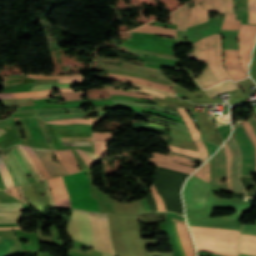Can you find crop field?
<instances>
[{
    "mask_svg": "<svg viewBox=\"0 0 256 256\" xmlns=\"http://www.w3.org/2000/svg\"><path fill=\"white\" fill-rule=\"evenodd\" d=\"M68 234L76 240L115 256L106 213L75 209L68 226Z\"/></svg>",
    "mask_w": 256,
    "mask_h": 256,
    "instance_id": "obj_1",
    "label": "crop field"
},
{
    "mask_svg": "<svg viewBox=\"0 0 256 256\" xmlns=\"http://www.w3.org/2000/svg\"><path fill=\"white\" fill-rule=\"evenodd\" d=\"M193 46L195 50L194 57L208 63L202 74L196 77L203 89L220 81L232 79L223 68L219 33L204 37L195 42Z\"/></svg>",
    "mask_w": 256,
    "mask_h": 256,
    "instance_id": "obj_2",
    "label": "crop field"
},
{
    "mask_svg": "<svg viewBox=\"0 0 256 256\" xmlns=\"http://www.w3.org/2000/svg\"><path fill=\"white\" fill-rule=\"evenodd\" d=\"M85 171L63 177L73 208L99 211L98 202L92 198Z\"/></svg>",
    "mask_w": 256,
    "mask_h": 256,
    "instance_id": "obj_3",
    "label": "crop field"
},
{
    "mask_svg": "<svg viewBox=\"0 0 256 256\" xmlns=\"http://www.w3.org/2000/svg\"><path fill=\"white\" fill-rule=\"evenodd\" d=\"M232 155L226 143L210 159L211 181L210 184L223 190L233 191L230 185V164ZM228 179V183L220 185V179Z\"/></svg>",
    "mask_w": 256,
    "mask_h": 256,
    "instance_id": "obj_4",
    "label": "crop field"
},
{
    "mask_svg": "<svg viewBox=\"0 0 256 256\" xmlns=\"http://www.w3.org/2000/svg\"><path fill=\"white\" fill-rule=\"evenodd\" d=\"M241 152L240 174L250 176V172H256V150L243 125L236 126L233 135Z\"/></svg>",
    "mask_w": 256,
    "mask_h": 256,
    "instance_id": "obj_5",
    "label": "crop field"
},
{
    "mask_svg": "<svg viewBox=\"0 0 256 256\" xmlns=\"http://www.w3.org/2000/svg\"><path fill=\"white\" fill-rule=\"evenodd\" d=\"M210 187L207 182L195 176L190 177L183 189L186 210L204 209Z\"/></svg>",
    "mask_w": 256,
    "mask_h": 256,
    "instance_id": "obj_6",
    "label": "crop field"
},
{
    "mask_svg": "<svg viewBox=\"0 0 256 256\" xmlns=\"http://www.w3.org/2000/svg\"><path fill=\"white\" fill-rule=\"evenodd\" d=\"M198 2L203 5L199 6ZM196 7L190 8L189 26L208 20L207 11H219L222 13H233L232 0H195Z\"/></svg>",
    "mask_w": 256,
    "mask_h": 256,
    "instance_id": "obj_7",
    "label": "crop field"
},
{
    "mask_svg": "<svg viewBox=\"0 0 256 256\" xmlns=\"http://www.w3.org/2000/svg\"><path fill=\"white\" fill-rule=\"evenodd\" d=\"M256 38V26L240 24L238 40L242 68L247 72V65Z\"/></svg>",
    "mask_w": 256,
    "mask_h": 256,
    "instance_id": "obj_8",
    "label": "crop field"
},
{
    "mask_svg": "<svg viewBox=\"0 0 256 256\" xmlns=\"http://www.w3.org/2000/svg\"><path fill=\"white\" fill-rule=\"evenodd\" d=\"M47 181L52 191V195L55 200L56 207L58 206L72 207L70 203L69 195L66 191L62 178L55 177V178L48 179Z\"/></svg>",
    "mask_w": 256,
    "mask_h": 256,
    "instance_id": "obj_9",
    "label": "crop field"
},
{
    "mask_svg": "<svg viewBox=\"0 0 256 256\" xmlns=\"http://www.w3.org/2000/svg\"><path fill=\"white\" fill-rule=\"evenodd\" d=\"M33 150L39 156V158L41 159L47 170L50 172L52 177L68 174V172L63 166L57 164L56 161L53 162L51 160L52 155L54 153L53 150L44 148H33Z\"/></svg>",
    "mask_w": 256,
    "mask_h": 256,
    "instance_id": "obj_10",
    "label": "crop field"
},
{
    "mask_svg": "<svg viewBox=\"0 0 256 256\" xmlns=\"http://www.w3.org/2000/svg\"><path fill=\"white\" fill-rule=\"evenodd\" d=\"M233 154V162L231 168V183L232 187L234 188V192H244L241 183L239 182V161H240V154L237 148L236 143L234 142L233 138L231 137L226 142Z\"/></svg>",
    "mask_w": 256,
    "mask_h": 256,
    "instance_id": "obj_11",
    "label": "crop field"
},
{
    "mask_svg": "<svg viewBox=\"0 0 256 256\" xmlns=\"http://www.w3.org/2000/svg\"><path fill=\"white\" fill-rule=\"evenodd\" d=\"M0 156L8 167L10 175L12 177L15 186L28 185L26 178L24 177L18 163L9 152L7 155L2 149H0ZM30 184V183H29Z\"/></svg>",
    "mask_w": 256,
    "mask_h": 256,
    "instance_id": "obj_12",
    "label": "crop field"
},
{
    "mask_svg": "<svg viewBox=\"0 0 256 256\" xmlns=\"http://www.w3.org/2000/svg\"><path fill=\"white\" fill-rule=\"evenodd\" d=\"M103 66H104V68H113V69L134 71V72L150 75L152 77H158V78L166 79L165 77H163L160 74L159 70L153 69V68H149V67H141V66H138V65L127 64V63H123L122 66L108 65V64H103Z\"/></svg>",
    "mask_w": 256,
    "mask_h": 256,
    "instance_id": "obj_13",
    "label": "crop field"
},
{
    "mask_svg": "<svg viewBox=\"0 0 256 256\" xmlns=\"http://www.w3.org/2000/svg\"><path fill=\"white\" fill-rule=\"evenodd\" d=\"M58 160L67 169L69 174L80 171L77 167L74 155L71 150L55 151Z\"/></svg>",
    "mask_w": 256,
    "mask_h": 256,
    "instance_id": "obj_14",
    "label": "crop field"
},
{
    "mask_svg": "<svg viewBox=\"0 0 256 256\" xmlns=\"http://www.w3.org/2000/svg\"><path fill=\"white\" fill-rule=\"evenodd\" d=\"M195 143L198 147L199 152L181 149V148L171 146V145H168V144L167 145H168L169 149L174 151V152L195 156L197 158H202L201 163H203L205 160H207L209 158L208 152H207V150H206V148H205V146H204V144L201 140L196 141Z\"/></svg>",
    "mask_w": 256,
    "mask_h": 256,
    "instance_id": "obj_15",
    "label": "crop field"
},
{
    "mask_svg": "<svg viewBox=\"0 0 256 256\" xmlns=\"http://www.w3.org/2000/svg\"><path fill=\"white\" fill-rule=\"evenodd\" d=\"M188 21V5L182 6L170 15V23L178 24L179 30H186Z\"/></svg>",
    "mask_w": 256,
    "mask_h": 256,
    "instance_id": "obj_16",
    "label": "crop field"
},
{
    "mask_svg": "<svg viewBox=\"0 0 256 256\" xmlns=\"http://www.w3.org/2000/svg\"><path fill=\"white\" fill-rule=\"evenodd\" d=\"M134 32L155 33L158 35L172 36V37L176 38V30H174V29L151 26V25H147V24L134 30Z\"/></svg>",
    "mask_w": 256,
    "mask_h": 256,
    "instance_id": "obj_17",
    "label": "crop field"
},
{
    "mask_svg": "<svg viewBox=\"0 0 256 256\" xmlns=\"http://www.w3.org/2000/svg\"><path fill=\"white\" fill-rule=\"evenodd\" d=\"M179 235L183 244L186 256H194L191 240L189 237L187 226L177 222Z\"/></svg>",
    "mask_w": 256,
    "mask_h": 256,
    "instance_id": "obj_18",
    "label": "crop field"
},
{
    "mask_svg": "<svg viewBox=\"0 0 256 256\" xmlns=\"http://www.w3.org/2000/svg\"><path fill=\"white\" fill-rule=\"evenodd\" d=\"M52 89L45 91L26 92V93H0V98H25L41 95H49ZM60 92H73L71 89H58Z\"/></svg>",
    "mask_w": 256,
    "mask_h": 256,
    "instance_id": "obj_19",
    "label": "crop field"
},
{
    "mask_svg": "<svg viewBox=\"0 0 256 256\" xmlns=\"http://www.w3.org/2000/svg\"><path fill=\"white\" fill-rule=\"evenodd\" d=\"M238 89L237 85L235 82L233 81H225L217 86L211 87L207 90H205V92L210 96V97H214L222 92L225 91H232Z\"/></svg>",
    "mask_w": 256,
    "mask_h": 256,
    "instance_id": "obj_20",
    "label": "crop field"
},
{
    "mask_svg": "<svg viewBox=\"0 0 256 256\" xmlns=\"http://www.w3.org/2000/svg\"><path fill=\"white\" fill-rule=\"evenodd\" d=\"M177 110L179 111V113L182 115L191 135L193 138V141L200 139V134L198 132V129L196 127V125L194 124V122L192 121V119L190 118V116L187 114V112L185 111V109L183 107H179L177 108Z\"/></svg>",
    "mask_w": 256,
    "mask_h": 256,
    "instance_id": "obj_21",
    "label": "crop field"
},
{
    "mask_svg": "<svg viewBox=\"0 0 256 256\" xmlns=\"http://www.w3.org/2000/svg\"><path fill=\"white\" fill-rule=\"evenodd\" d=\"M23 148L26 150V152L29 154V156L31 157V159L34 161L37 169L40 171V173L44 176L45 179L50 178L49 173L47 172V170L45 169L44 165L42 164V162L40 161V159L38 158V156L35 154V152L32 150L31 147H26L23 146Z\"/></svg>",
    "mask_w": 256,
    "mask_h": 256,
    "instance_id": "obj_22",
    "label": "crop field"
},
{
    "mask_svg": "<svg viewBox=\"0 0 256 256\" xmlns=\"http://www.w3.org/2000/svg\"><path fill=\"white\" fill-rule=\"evenodd\" d=\"M104 117L106 116H97L96 118H89V120H86L84 118H74V119L55 120V121H49V122L59 123V124H66V123L98 124L99 121Z\"/></svg>",
    "mask_w": 256,
    "mask_h": 256,
    "instance_id": "obj_23",
    "label": "crop field"
},
{
    "mask_svg": "<svg viewBox=\"0 0 256 256\" xmlns=\"http://www.w3.org/2000/svg\"><path fill=\"white\" fill-rule=\"evenodd\" d=\"M91 113V112H90ZM99 115H107L104 111H96ZM89 113H70V114H55V115H48L49 117L44 118V116H39L45 121L59 119V118H73V117H85L88 116ZM47 116V115H45Z\"/></svg>",
    "mask_w": 256,
    "mask_h": 256,
    "instance_id": "obj_24",
    "label": "crop field"
},
{
    "mask_svg": "<svg viewBox=\"0 0 256 256\" xmlns=\"http://www.w3.org/2000/svg\"><path fill=\"white\" fill-rule=\"evenodd\" d=\"M20 217V213L0 212V223H18Z\"/></svg>",
    "mask_w": 256,
    "mask_h": 256,
    "instance_id": "obj_25",
    "label": "crop field"
},
{
    "mask_svg": "<svg viewBox=\"0 0 256 256\" xmlns=\"http://www.w3.org/2000/svg\"><path fill=\"white\" fill-rule=\"evenodd\" d=\"M134 85V84H132ZM138 86L139 88H142V89H145V90H148V91H144V90H140V89H137V90H131V91H135V92H143V93H147V94H151V95H155V96H158L160 98H163L165 99V95H162V94H167V95H171V96H175V94H172V93H168V92H165V91H162V90H158V89H153V88H148V87H144V86H141V85H136ZM128 91V90H127ZM162 93V94H158V93Z\"/></svg>",
    "mask_w": 256,
    "mask_h": 256,
    "instance_id": "obj_26",
    "label": "crop field"
},
{
    "mask_svg": "<svg viewBox=\"0 0 256 256\" xmlns=\"http://www.w3.org/2000/svg\"><path fill=\"white\" fill-rule=\"evenodd\" d=\"M0 211H16L22 212V202L18 203H0Z\"/></svg>",
    "mask_w": 256,
    "mask_h": 256,
    "instance_id": "obj_27",
    "label": "crop field"
},
{
    "mask_svg": "<svg viewBox=\"0 0 256 256\" xmlns=\"http://www.w3.org/2000/svg\"><path fill=\"white\" fill-rule=\"evenodd\" d=\"M252 115L254 118L249 120V122L256 133V117H255L254 113H252ZM249 122L248 121L243 122V125L245 126L246 130L248 131L250 137L253 139L255 146H256V134L254 133L253 129L251 128Z\"/></svg>",
    "mask_w": 256,
    "mask_h": 256,
    "instance_id": "obj_28",
    "label": "crop field"
},
{
    "mask_svg": "<svg viewBox=\"0 0 256 256\" xmlns=\"http://www.w3.org/2000/svg\"><path fill=\"white\" fill-rule=\"evenodd\" d=\"M59 94H61L63 98L66 100H75V99H81L80 96L87 95L88 93H83V91L76 92V93H58L50 96L34 97L33 99L47 98V97H51Z\"/></svg>",
    "mask_w": 256,
    "mask_h": 256,
    "instance_id": "obj_29",
    "label": "crop field"
},
{
    "mask_svg": "<svg viewBox=\"0 0 256 256\" xmlns=\"http://www.w3.org/2000/svg\"><path fill=\"white\" fill-rule=\"evenodd\" d=\"M10 150V152L12 153V155L15 157V159L17 160V162L19 163L22 171L24 172L25 175L27 174H31L30 170L28 169V167L26 166V164L24 163V161L22 160V158L20 157L19 153L17 152V150L12 146L10 148H8Z\"/></svg>",
    "mask_w": 256,
    "mask_h": 256,
    "instance_id": "obj_30",
    "label": "crop field"
},
{
    "mask_svg": "<svg viewBox=\"0 0 256 256\" xmlns=\"http://www.w3.org/2000/svg\"><path fill=\"white\" fill-rule=\"evenodd\" d=\"M106 142H111V141L94 142L95 154L102 158L105 157L107 154Z\"/></svg>",
    "mask_w": 256,
    "mask_h": 256,
    "instance_id": "obj_31",
    "label": "crop field"
},
{
    "mask_svg": "<svg viewBox=\"0 0 256 256\" xmlns=\"http://www.w3.org/2000/svg\"><path fill=\"white\" fill-rule=\"evenodd\" d=\"M194 175L200 177L201 179L209 182L210 176H209V161L202 166Z\"/></svg>",
    "mask_w": 256,
    "mask_h": 256,
    "instance_id": "obj_32",
    "label": "crop field"
},
{
    "mask_svg": "<svg viewBox=\"0 0 256 256\" xmlns=\"http://www.w3.org/2000/svg\"><path fill=\"white\" fill-rule=\"evenodd\" d=\"M81 111L79 109H68V110H62V109H41L37 110L35 115H44V114H54V113H61V112H78Z\"/></svg>",
    "mask_w": 256,
    "mask_h": 256,
    "instance_id": "obj_33",
    "label": "crop field"
},
{
    "mask_svg": "<svg viewBox=\"0 0 256 256\" xmlns=\"http://www.w3.org/2000/svg\"><path fill=\"white\" fill-rule=\"evenodd\" d=\"M248 23L256 24V0H249V21Z\"/></svg>",
    "mask_w": 256,
    "mask_h": 256,
    "instance_id": "obj_34",
    "label": "crop field"
},
{
    "mask_svg": "<svg viewBox=\"0 0 256 256\" xmlns=\"http://www.w3.org/2000/svg\"><path fill=\"white\" fill-rule=\"evenodd\" d=\"M170 216L175 217V218H178V219H182V220H185V218H184L183 216H181V215L172 214V213H168V212H167V220H168L169 227H170V234H171V237H172L173 242H174V246H175V249H176V252H177V256H181V255H180V251H179V249H178V247H177L176 241H175L174 236H173V231H172V225H171Z\"/></svg>",
    "mask_w": 256,
    "mask_h": 256,
    "instance_id": "obj_35",
    "label": "crop field"
},
{
    "mask_svg": "<svg viewBox=\"0 0 256 256\" xmlns=\"http://www.w3.org/2000/svg\"><path fill=\"white\" fill-rule=\"evenodd\" d=\"M114 132L93 133L92 141L113 140Z\"/></svg>",
    "mask_w": 256,
    "mask_h": 256,
    "instance_id": "obj_36",
    "label": "crop field"
},
{
    "mask_svg": "<svg viewBox=\"0 0 256 256\" xmlns=\"http://www.w3.org/2000/svg\"><path fill=\"white\" fill-rule=\"evenodd\" d=\"M72 84H52V85H37L32 88V91L48 88H71Z\"/></svg>",
    "mask_w": 256,
    "mask_h": 256,
    "instance_id": "obj_37",
    "label": "crop field"
},
{
    "mask_svg": "<svg viewBox=\"0 0 256 256\" xmlns=\"http://www.w3.org/2000/svg\"><path fill=\"white\" fill-rule=\"evenodd\" d=\"M14 244V242H12L9 239H3L0 242V256H3V254Z\"/></svg>",
    "mask_w": 256,
    "mask_h": 256,
    "instance_id": "obj_38",
    "label": "crop field"
},
{
    "mask_svg": "<svg viewBox=\"0 0 256 256\" xmlns=\"http://www.w3.org/2000/svg\"><path fill=\"white\" fill-rule=\"evenodd\" d=\"M151 191H152V194L154 195V197L156 199L159 211H166L165 207H164V204H163V201L160 198L158 192L156 191V189L153 185H152Z\"/></svg>",
    "mask_w": 256,
    "mask_h": 256,
    "instance_id": "obj_39",
    "label": "crop field"
},
{
    "mask_svg": "<svg viewBox=\"0 0 256 256\" xmlns=\"http://www.w3.org/2000/svg\"><path fill=\"white\" fill-rule=\"evenodd\" d=\"M110 95H117V94H126V95H132L136 97H141V98H150L153 99V96H148V95H142V94H137V93H130V92H122V91H111L107 90Z\"/></svg>",
    "mask_w": 256,
    "mask_h": 256,
    "instance_id": "obj_40",
    "label": "crop field"
},
{
    "mask_svg": "<svg viewBox=\"0 0 256 256\" xmlns=\"http://www.w3.org/2000/svg\"><path fill=\"white\" fill-rule=\"evenodd\" d=\"M241 233L256 234V224H253V225L242 224Z\"/></svg>",
    "mask_w": 256,
    "mask_h": 256,
    "instance_id": "obj_41",
    "label": "crop field"
},
{
    "mask_svg": "<svg viewBox=\"0 0 256 256\" xmlns=\"http://www.w3.org/2000/svg\"><path fill=\"white\" fill-rule=\"evenodd\" d=\"M172 225H173V229H174V233H175V236H176L178 247H179V249L181 251L182 256H185L183 248H182L181 241L179 239V235H178V231H177V225L175 223V219L174 218H172Z\"/></svg>",
    "mask_w": 256,
    "mask_h": 256,
    "instance_id": "obj_42",
    "label": "crop field"
},
{
    "mask_svg": "<svg viewBox=\"0 0 256 256\" xmlns=\"http://www.w3.org/2000/svg\"><path fill=\"white\" fill-rule=\"evenodd\" d=\"M148 164L159 165V166H163V167H166V168H170V169H174V170H178V171H182V172H186V173H190V174L192 173L191 171L184 170V169H181V168H178V167L165 165V164H160V163H155V162H151V161H149Z\"/></svg>",
    "mask_w": 256,
    "mask_h": 256,
    "instance_id": "obj_43",
    "label": "crop field"
},
{
    "mask_svg": "<svg viewBox=\"0 0 256 256\" xmlns=\"http://www.w3.org/2000/svg\"><path fill=\"white\" fill-rule=\"evenodd\" d=\"M17 148V150L19 151V153L21 154V156L23 157L24 161L26 162V164L28 165V167L30 168L33 176L35 177V179L37 180V182L41 181L39 179V177L35 174L34 170L32 169L31 165L29 164L28 160L26 159V157L24 156V154L21 152V150L19 149L18 145L15 146Z\"/></svg>",
    "mask_w": 256,
    "mask_h": 256,
    "instance_id": "obj_44",
    "label": "crop field"
},
{
    "mask_svg": "<svg viewBox=\"0 0 256 256\" xmlns=\"http://www.w3.org/2000/svg\"><path fill=\"white\" fill-rule=\"evenodd\" d=\"M78 154L82 157V159L86 162L88 167L96 164L93 160H91L87 155L84 154L83 151L77 150Z\"/></svg>",
    "mask_w": 256,
    "mask_h": 256,
    "instance_id": "obj_45",
    "label": "crop field"
},
{
    "mask_svg": "<svg viewBox=\"0 0 256 256\" xmlns=\"http://www.w3.org/2000/svg\"><path fill=\"white\" fill-rule=\"evenodd\" d=\"M108 100H111V97H108V98H106L104 100H102V98H99V99H91L89 101H108ZM86 101L87 100H75V101H66L64 103L65 104H73V103H82V102H86ZM60 104H62V103L60 102Z\"/></svg>",
    "mask_w": 256,
    "mask_h": 256,
    "instance_id": "obj_46",
    "label": "crop field"
},
{
    "mask_svg": "<svg viewBox=\"0 0 256 256\" xmlns=\"http://www.w3.org/2000/svg\"><path fill=\"white\" fill-rule=\"evenodd\" d=\"M203 142L205 143V145L209 151V156H211L218 148L217 146H215L209 142H205V141H203Z\"/></svg>",
    "mask_w": 256,
    "mask_h": 256,
    "instance_id": "obj_47",
    "label": "crop field"
},
{
    "mask_svg": "<svg viewBox=\"0 0 256 256\" xmlns=\"http://www.w3.org/2000/svg\"><path fill=\"white\" fill-rule=\"evenodd\" d=\"M3 191H5V192H7V193H9V194H11V195H13V196H15V197H17L18 199L21 200L18 188H12V189L3 190Z\"/></svg>",
    "mask_w": 256,
    "mask_h": 256,
    "instance_id": "obj_48",
    "label": "crop field"
},
{
    "mask_svg": "<svg viewBox=\"0 0 256 256\" xmlns=\"http://www.w3.org/2000/svg\"><path fill=\"white\" fill-rule=\"evenodd\" d=\"M44 186H45L46 193H47V195H48V197H49V199H50V203H51L53 209L56 210V207H55V205H54L53 198H52V196H51V194H50V192H49V189H48V185H47V181H46V180L44 181Z\"/></svg>",
    "mask_w": 256,
    "mask_h": 256,
    "instance_id": "obj_49",
    "label": "crop field"
},
{
    "mask_svg": "<svg viewBox=\"0 0 256 256\" xmlns=\"http://www.w3.org/2000/svg\"><path fill=\"white\" fill-rule=\"evenodd\" d=\"M148 256H172V253H153L147 252Z\"/></svg>",
    "mask_w": 256,
    "mask_h": 256,
    "instance_id": "obj_50",
    "label": "crop field"
},
{
    "mask_svg": "<svg viewBox=\"0 0 256 256\" xmlns=\"http://www.w3.org/2000/svg\"><path fill=\"white\" fill-rule=\"evenodd\" d=\"M63 145H89V142H63Z\"/></svg>",
    "mask_w": 256,
    "mask_h": 256,
    "instance_id": "obj_51",
    "label": "crop field"
},
{
    "mask_svg": "<svg viewBox=\"0 0 256 256\" xmlns=\"http://www.w3.org/2000/svg\"><path fill=\"white\" fill-rule=\"evenodd\" d=\"M90 158H92L96 163L97 162H99L100 161V157H98V156H96V155H94V154H92V153H90V152H86V151H84Z\"/></svg>",
    "mask_w": 256,
    "mask_h": 256,
    "instance_id": "obj_52",
    "label": "crop field"
},
{
    "mask_svg": "<svg viewBox=\"0 0 256 256\" xmlns=\"http://www.w3.org/2000/svg\"><path fill=\"white\" fill-rule=\"evenodd\" d=\"M18 188H19V191H20V194H21V197H22L23 202L26 203V201H25V195H24V193H23L22 188H21V187H18Z\"/></svg>",
    "mask_w": 256,
    "mask_h": 256,
    "instance_id": "obj_53",
    "label": "crop field"
},
{
    "mask_svg": "<svg viewBox=\"0 0 256 256\" xmlns=\"http://www.w3.org/2000/svg\"><path fill=\"white\" fill-rule=\"evenodd\" d=\"M0 229H20V227H0Z\"/></svg>",
    "mask_w": 256,
    "mask_h": 256,
    "instance_id": "obj_54",
    "label": "crop field"
},
{
    "mask_svg": "<svg viewBox=\"0 0 256 256\" xmlns=\"http://www.w3.org/2000/svg\"><path fill=\"white\" fill-rule=\"evenodd\" d=\"M199 254H204V255H208V256H218V255H213V254H208V253H203V252H198Z\"/></svg>",
    "mask_w": 256,
    "mask_h": 256,
    "instance_id": "obj_55",
    "label": "crop field"
},
{
    "mask_svg": "<svg viewBox=\"0 0 256 256\" xmlns=\"http://www.w3.org/2000/svg\"><path fill=\"white\" fill-rule=\"evenodd\" d=\"M24 210H30L29 207L25 204H23Z\"/></svg>",
    "mask_w": 256,
    "mask_h": 256,
    "instance_id": "obj_56",
    "label": "crop field"
},
{
    "mask_svg": "<svg viewBox=\"0 0 256 256\" xmlns=\"http://www.w3.org/2000/svg\"><path fill=\"white\" fill-rule=\"evenodd\" d=\"M238 256H251V255H246V254L239 253Z\"/></svg>",
    "mask_w": 256,
    "mask_h": 256,
    "instance_id": "obj_57",
    "label": "crop field"
},
{
    "mask_svg": "<svg viewBox=\"0 0 256 256\" xmlns=\"http://www.w3.org/2000/svg\"><path fill=\"white\" fill-rule=\"evenodd\" d=\"M4 132L5 131L2 128H0V135L3 134Z\"/></svg>",
    "mask_w": 256,
    "mask_h": 256,
    "instance_id": "obj_58",
    "label": "crop field"
},
{
    "mask_svg": "<svg viewBox=\"0 0 256 256\" xmlns=\"http://www.w3.org/2000/svg\"><path fill=\"white\" fill-rule=\"evenodd\" d=\"M0 86H5V83H4V82H1V83H0Z\"/></svg>",
    "mask_w": 256,
    "mask_h": 256,
    "instance_id": "obj_59",
    "label": "crop field"
},
{
    "mask_svg": "<svg viewBox=\"0 0 256 256\" xmlns=\"http://www.w3.org/2000/svg\"><path fill=\"white\" fill-rule=\"evenodd\" d=\"M198 251H205V250H198ZM217 254V253H216ZM221 255H224V254H221ZM225 256H229V255H225Z\"/></svg>",
    "mask_w": 256,
    "mask_h": 256,
    "instance_id": "obj_60",
    "label": "crop field"
},
{
    "mask_svg": "<svg viewBox=\"0 0 256 256\" xmlns=\"http://www.w3.org/2000/svg\"><path fill=\"white\" fill-rule=\"evenodd\" d=\"M234 131H235V128H234ZM234 131H233V134H234Z\"/></svg>",
    "mask_w": 256,
    "mask_h": 256,
    "instance_id": "obj_61",
    "label": "crop field"
},
{
    "mask_svg": "<svg viewBox=\"0 0 256 256\" xmlns=\"http://www.w3.org/2000/svg\"><path fill=\"white\" fill-rule=\"evenodd\" d=\"M103 256H107V255H104V254H103Z\"/></svg>",
    "mask_w": 256,
    "mask_h": 256,
    "instance_id": "obj_62",
    "label": "crop field"
}]
</instances>
